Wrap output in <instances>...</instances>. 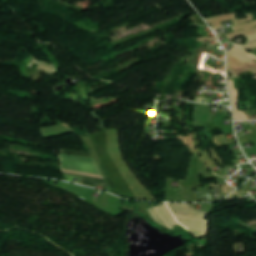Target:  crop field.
I'll return each instance as SVG.
<instances>
[{
    "label": "crop field",
    "instance_id": "3",
    "mask_svg": "<svg viewBox=\"0 0 256 256\" xmlns=\"http://www.w3.org/2000/svg\"><path fill=\"white\" fill-rule=\"evenodd\" d=\"M148 211L157 223L165 227L172 229L174 224H178L165 205L150 208Z\"/></svg>",
    "mask_w": 256,
    "mask_h": 256
},
{
    "label": "crop field",
    "instance_id": "9",
    "mask_svg": "<svg viewBox=\"0 0 256 256\" xmlns=\"http://www.w3.org/2000/svg\"><path fill=\"white\" fill-rule=\"evenodd\" d=\"M235 120H247V117L243 112L234 113Z\"/></svg>",
    "mask_w": 256,
    "mask_h": 256
},
{
    "label": "crop field",
    "instance_id": "8",
    "mask_svg": "<svg viewBox=\"0 0 256 256\" xmlns=\"http://www.w3.org/2000/svg\"><path fill=\"white\" fill-rule=\"evenodd\" d=\"M234 111H237V90H233V81H229Z\"/></svg>",
    "mask_w": 256,
    "mask_h": 256
},
{
    "label": "crop field",
    "instance_id": "5",
    "mask_svg": "<svg viewBox=\"0 0 256 256\" xmlns=\"http://www.w3.org/2000/svg\"><path fill=\"white\" fill-rule=\"evenodd\" d=\"M63 171L65 173L103 179L102 176H98V175L86 174V173H81V172H76V171H71V170H63ZM70 174H67V175H70ZM75 175H72V176H75ZM80 176H78V177H80ZM79 183L84 184V185H88V186H92V187H94L96 184L108 187L107 184L105 183V181L97 180V179H91V178H85V177H82L81 180L79 181Z\"/></svg>",
    "mask_w": 256,
    "mask_h": 256
},
{
    "label": "crop field",
    "instance_id": "2",
    "mask_svg": "<svg viewBox=\"0 0 256 256\" xmlns=\"http://www.w3.org/2000/svg\"><path fill=\"white\" fill-rule=\"evenodd\" d=\"M60 157L63 168L101 175L93 159L65 155Z\"/></svg>",
    "mask_w": 256,
    "mask_h": 256
},
{
    "label": "crop field",
    "instance_id": "1",
    "mask_svg": "<svg viewBox=\"0 0 256 256\" xmlns=\"http://www.w3.org/2000/svg\"><path fill=\"white\" fill-rule=\"evenodd\" d=\"M180 224L190 230L198 239L205 235L207 230V213L188 209L189 204H167ZM207 234V233H206Z\"/></svg>",
    "mask_w": 256,
    "mask_h": 256
},
{
    "label": "crop field",
    "instance_id": "7",
    "mask_svg": "<svg viewBox=\"0 0 256 256\" xmlns=\"http://www.w3.org/2000/svg\"><path fill=\"white\" fill-rule=\"evenodd\" d=\"M61 154L92 157L90 152L61 149Z\"/></svg>",
    "mask_w": 256,
    "mask_h": 256
},
{
    "label": "crop field",
    "instance_id": "4",
    "mask_svg": "<svg viewBox=\"0 0 256 256\" xmlns=\"http://www.w3.org/2000/svg\"><path fill=\"white\" fill-rule=\"evenodd\" d=\"M231 55H232V64L237 68L245 64L252 63L253 60H256L255 57L237 48L236 46L231 50Z\"/></svg>",
    "mask_w": 256,
    "mask_h": 256
},
{
    "label": "crop field",
    "instance_id": "6",
    "mask_svg": "<svg viewBox=\"0 0 256 256\" xmlns=\"http://www.w3.org/2000/svg\"><path fill=\"white\" fill-rule=\"evenodd\" d=\"M57 187L62 188L64 190L72 191L87 199H89L91 193L93 192L92 189H88V188H84V187H80V186H76L68 183H62V182H59Z\"/></svg>",
    "mask_w": 256,
    "mask_h": 256
}]
</instances>
